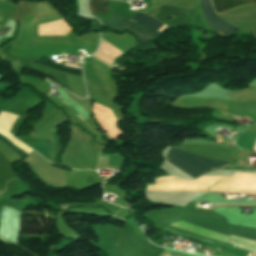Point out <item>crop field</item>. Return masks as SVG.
I'll return each instance as SVG.
<instances>
[{"label": "crop field", "instance_id": "obj_1", "mask_svg": "<svg viewBox=\"0 0 256 256\" xmlns=\"http://www.w3.org/2000/svg\"><path fill=\"white\" fill-rule=\"evenodd\" d=\"M146 190L166 191H219L256 193V169H236L233 178L200 177L187 181L171 176L157 177Z\"/></svg>", "mask_w": 256, "mask_h": 256}, {"label": "crop field", "instance_id": "obj_2", "mask_svg": "<svg viewBox=\"0 0 256 256\" xmlns=\"http://www.w3.org/2000/svg\"><path fill=\"white\" fill-rule=\"evenodd\" d=\"M167 160L179 169L185 171L194 179L204 173L231 166V163L228 162L199 157L172 147L167 154Z\"/></svg>", "mask_w": 256, "mask_h": 256}, {"label": "crop field", "instance_id": "obj_3", "mask_svg": "<svg viewBox=\"0 0 256 256\" xmlns=\"http://www.w3.org/2000/svg\"><path fill=\"white\" fill-rule=\"evenodd\" d=\"M201 227H204L206 229L224 234V235H229V231L230 228L228 226V222H222V221H209V220H190V221H186ZM186 222H178V223H174V224H170L173 226H176L178 228L202 235V236H206V237H210V238H214V239H218V240H222V241H226L227 242V236L206 230L204 228L186 223Z\"/></svg>", "mask_w": 256, "mask_h": 256}, {"label": "crop field", "instance_id": "obj_4", "mask_svg": "<svg viewBox=\"0 0 256 256\" xmlns=\"http://www.w3.org/2000/svg\"><path fill=\"white\" fill-rule=\"evenodd\" d=\"M128 21L129 18L114 12V14L106 21L104 27L118 33H122L125 30L129 31L131 34L137 37L139 41L138 48L142 47L147 42L154 39L143 28L133 23H129Z\"/></svg>", "mask_w": 256, "mask_h": 256}, {"label": "crop field", "instance_id": "obj_5", "mask_svg": "<svg viewBox=\"0 0 256 256\" xmlns=\"http://www.w3.org/2000/svg\"><path fill=\"white\" fill-rule=\"evenodd\" d=\"M21 212L3 206L0 213V236L17 245Z\"/></svg>", "mask_w": 256, "mask_h": 256}, {"label": "crop field", "instance_id": "obj_6", "mask_svg": "<svg viewBox=\"0 0 256 256\" xmlns=\"http://www.w3.org/2000/svg\"><path fill=\"white\" fill-rule=\"evenodd\" d=\"M208 26L224 35L230 34L237 27L221 19L213 10L211 0H199Z\"/></svg>", "mask_w": 256, "mask_h": 256}, {"label": "crop field", "instance_id": "obj_7", "mask_svg": "<svg viewBox=\"0 0 256 256\" xmlns=\"http://www.w3.org/2000/svg\"><path fill=\"white\" fill-rule=\"evenodd\" d=\"M164 231L171 232V233H174V234H177V235H180V236H184V237H187V238H190V239H194V240H197V241H200V242H203V243H207V244L216 246L218 248L224 249L226 251H229L231 253L237 254L239 256H246L247 255V252H245V251H243L239 248L224 244V243L219 242V241L208 239V238H205V237H202V236H199V235H196V234H193V233H190V232L178 229V228H174V227H171V226H166L164 228ZM248 256H252V254L249 253Z\"/></svg>", "mask_w": 256, "mask_h": 256}, {"label": "crop field", "instance_id": "obj_8", "mask_svg": "<svg viewBox=\"0 0 256 256\" xmlns=\"http://www.w3.org/2000/svg\"><path fill=\"white\" fill-rule=\"evenodd\" d=\"M231 229H232L231 235L239 236V237H243V238H247V239L256 241V230L255 229L236 227V226H231ZM234 236H230L229 243L236 244L241 247H245V248L249 249L250 251L255 252L256 242L250 241L247 239H243V238H239V237H234Z\"/></svg>", "mask_w": 256, "mask_h": 256}, {"label": "crop field", "instance_id": "obj_9", "mask_svg": "<svg viewBox=\"0 0 256 256\" xmlns=\"http://www.w3.org/2000/svg\"><path fill=\"white\" fill-rule=\"evenodd\" d=\"M132 20L136 21L138 23H141L143 26H145L148 29L152 30L157 35L159 34V32H161L166 27L164 24H162L158 20H156V19H154L152 17L146 16V15H143V14L137 13V12L134 13V15L132 17ZM158 30H159V32H157Z\"/></svg>", "mask_w": 256, "mask_h": 256}, {"label": "crop field", "instance_id": "obj_10", "mask_svg": "<svg viewBox=\"0 0 256 256\" xmlns=\"http://www.w3.org/2000/svg\"><path fill=\"white\" fill-rule=\"evenodd\" d=\"M216 13L230 9L235 6L256 3V0H212Z\"/></svg>", "mask_w": 256, "mask_h": 256}, {"label": "crop field", "instance_id": "obj_11", "mask_svg": "<svg viewBox=\"0 0 256 256\" xmlns=\"http://www.w3.org/2000/svg\"><path fill=\"white\" fill-rule=\"evenodd\" d=\"M38 64L50 67L52 69H55V70H58L61 72H64L66 74L82 76V72L80 70H76V69L62 66L60 64H56L54 61H52L50 58H48L44 55L39 59Z\"/></svg>", "mask_w": 256, "mask_h": 256}, {"label": "crop field", "instance_id": "obj_12", "mask_svg": "<svg viewBox=\"0 0 256 256\" xmlns=\"http://www.w3.org/2000/svg\"><path fill=\"white\" fill-rule=\"evenodd\" d=\"M26 145L30 146L31 148H33L35 151H37L38 153H40L42 156H44L46 159L50 161L52 157V145H53L52 142L46 140L41 143L26 144Z\"/></svg>", "mask_w": 256, "mask_h": 256}, {"label": "crop field", "instance_id": "obj_13", "mask_svg": "<svg viewBox=\"0 0 256 256\" xmlns=\"http://www.w3.org/2000/svg\"><path fill=\"white\" fill-rule=\"evenodd\" d=\"M256 133H245L238 136L236 144L241 149L251 150L255 143Z\"/></svg>", "mask_w": 256, "mask_h": 256}, {"label": "crop field", "instance_id": "obj_14", "mask_svg": "<svg viewBox=\"0 0 256 256\" xmlns=\"http://www.w3.org/2000/svg\"><path fill=\"white\" fill-rule=\"evenodd\" d=\"M89 9L92 13H108V1L89 0Z\"/></svg>", "mask_w": 256, "mask_h": 256}, {"label": "crop field", "instance_id": "obj_15", "mask_svg": "<svg viewBox=\"0 0 256 256\" xmlns=\"http://www.w3.org/2000/svg\"><path fill=\"white\" fill-rule=\"evenodd\" d=\"M0 141L11 147L13 150H15L19 155H21L23 158L26 157L29 153L26 152L24 149H22L20 146H18L16 143H14L11 139H9L7 136H5L3 133L0 132Z\"/></svg>", "mask_w": 256, "mask_h": 256}, {"label": "crop field", "instance_id": "obj_16", "mask_svg": "<svg viewBox=\"0 0 256 256\" xmlns=\"http://www.w3.org/2000/svg\"><path fill=\"white\" fill-rule=\"evenodd\" d=\"M239 108H241L243 111H249V110H256V103H235Z\"/></svg>", "mask_w": 256, "mask_h": 256}, {"label": "crop field", "instance_id": "obj_17", "mask_svg": "<svg viewBox=\"0 0 256 256\" xmlns=\"http://www.w3.org/2000/svg\"><path fill=\"white\" fill-rule=\"evenodd\" d=\"M168 256H185V255H181V254H176V253L170 252V254Z\"/></svg>", "mask_w": 256, "mask_h": 256}, {"label": "crop field", "instance_id": "obj_18", "mask_svg": "<svg viewBox=\"0 0 256 256\" xmlns=\"http://www.w3.org/2000/svg\"><path fill=\"white\" fill-rule=\"evenodd\" d=\"M79 116V115H78ZM80 117V116H79ZM81 118V117H80ZM82 119V118H81ZM83 120V119H82Z\"/></svg>", "mask_w": 256, "mask_h": 256}, {"label": "crop field", "instance_id": "obj_19", "mask_svg": "<svg viewBox=\"0 0 256 256\" xmlns=\"http://www.w3.org/2000/svg\"><path fill=\"white\" fill-rule=\"evenodd\" d=\"M2 20H3V18H2ZM2 20H1V22H2Z\"/></svg>", "mask_w": 256, "mask_h": 256}]
</instances>
